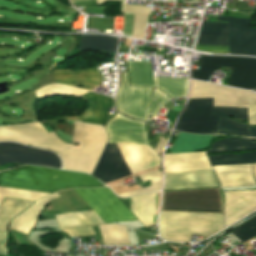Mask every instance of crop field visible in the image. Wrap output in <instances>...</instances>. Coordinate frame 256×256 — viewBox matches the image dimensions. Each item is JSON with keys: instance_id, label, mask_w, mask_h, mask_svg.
<instances>
[{"instance_id": "1", "label": "crop field", "mask_w": 256, "mask_h": 256, "mask_svg": "<svg viewBox=\"0 0 256 256\" xmlns=\"http://www.w3.org/2000/svg\"><path fill=\"white\" fill-rule=\"evenodd\" d=\"M0 186L52 193L73 187L103 186L94 177L78 172L25 165L0 173ZM0 187V203L5 196L37 200L47 193Z\"/></svg>"}, {"instance_id": "2", "label": "crop field", "mask_w": 256, "mask_h": 256, "mask_svg": "<svg viewBox=\"0 0 256 256\" xmlns=\"http://www.w3.org/2000/svg\"><path fill=\"white\" fill-rule=\"evenodd\" d=\"M132 174L158 168L160 156L150 145L117 144ZM116 144H106L92 173L104 183L132 175Z\"/></svg>"}, {"instance_id": "3", "label": "crop field", "mask_w": 256, "mask_h": 256, "mask_svg": "<svg viewBox=\"0 0 256 256\" xmlns=\"http://www.w3.org/2000/svg\"><path fill=\"white\" fill-rule=\"evenodd\" d=\"M74 131L75 142H80V146L61 153L63 168L91 174L107 141L105 128L101 125L74 122Z\"/></svg>"}, {"instance_id": "4", "label": "crop field", "mask_w": 256, "mask_h": 256, "mask_svg": "<svg viewBox=\"0 0 256 256\" xmlns=\"http://www.w3.org/2000/svg\"><path fill=\"white\" fill-rule=\"evenodd\" d=\"M223 214L161 212L159 226L164 240L190 242L192 234L208 237L223 228Z\"/></svg>"}, {"instance_id": "5", "label": "crop field", "mask_w": 256, "mask_h": 256, "mask_svg": "<svg viewBox=\"0 0 256 256\" xmlns=\"http://www.w3.org/2000/svg\"><path fill=\"white\" fill-rule=\"evenodd\" d=\"M151 88L130 87L127 72L122 76V83L117 90V110L129 117L146 122L147 114L155 116L159 108L169 97L155 89L150 100Z\"/></svg>"}, {"instance_id": "6", "label": "crop field", "mask_w": 256, "mask_h": 256, "mask_svg": "<svg viewBox=\"0 0 256 256\" xmlns=\"http://www.w3.org/2000/svg\"><path fill=\"white\" fill-rule=\"evenodd\" d=\"M220 66L233 67L229 86L251 90L256 87V60L201 55L200 69L191 70L193 79L208 81Z\"/></svg>"}, {"instance_id": "7", "label": "crop field", "mask_w": 256, "mask_h": 256, "mask_svg": "<svg viewBox=\"0 0 256 256\" xmlns=\"http://www.w3.org/2000/svg\"><path fill=\"white\" fill-rule=\"evenodd\" d=\"M161 211L223 213L221 191L210 188L163 192Z\"/></svg>"}, {"instance_id": "8", "label": "crop field", "mask_w": 256, "mask_h": 256, "mask_svg": "<svg viewBox=\"0 0 256 256\" xmlns=\"http://www.w3.org/2000/svg\"><path fill=\"white\" fill-rule=\"evenodd\" d=\"M0 141H18L27 145L60 151L73 146L63 143L53 131L47 132L40 122L0 126Z\"/></svg>"}, {"instance_id": "9", "label": "crop field", "mask_w": 256, "mask_h": 256, "mask_svg": "<svg viewBox=\"0 0 256 256\" xmlns=\"http://www.w3.org/2000/svg\"><path fill=\"white\" fill-rule=\"evenodd\" d=\"M105 222L137 220L109 189H73Z\"/></svg>"}, {"instance_id": "10", "label": "crop field", "mask_w": 256, "mask_h": 256, "mask_svg": "<svg viewBox=\"0 0 256 256\" xmlns=\"http://www.w3.org/2000/svg\"><path fill=\"white\" fill-rule=\"evenodd\" d=\"M213 99H189L174 130L197 134H215L219 116L212 115Z\"/></svg>"}, {"instance_id": "11", "label": "crop field", "mask_w": 256, "mask_h": 256, "mask_svg": "<svg viewBox=\"0 0 256 256\" xmlns=\"http://www.w3.org/2000/svg\"><path fill=\"white\" fill-rule=\"evenodd\" d=\"M189 98H214L213 106L248 108L256 101V94L245 90L192 81Z\"/></svg>"}, {"instance_id": "12", "label": "crop field", "mask_w": 256, "mask_h": 256, "mask_svg": "<svg viewBox=\"0 0 256 256\" xmlns=\"http://www.w3.org/2000/svg\"><path fill=\"white\" fill-rule=\"evenodd\" d=\"M4 163H26L61 168L60 159L52 152L16 143L0 142V164Z\"/></svg>"}, {"instance_id": "13", "label": "crop field", "mask_w": 256, "mask_h": 256, "mask_svg": "<svg viewBox=\"0 0 256 256\" xmlns=\"http://www.w3.org/2000/svg\"><path fill=\"white\" fill-rule=\"evenodd\" d=\"M106 131L109 134L107 143L148 144L144 123L131 120L119 114L108 121Z\"/></svg>"}, {"instance_id": "14", "label": "crop field", "mask_w": 256, "mask_h": 256, "mask_svg": "<svg viewBox=\"0 0 256 256\" xmlns=\"http://www.w3.org/2000/svg\"><path fill=\"white\" fill-rule=\"evenodd\" d=\"M217 21L229 22V53L255 54L256 30L250 20L218 16Z\"/></svg>"}, {"instance_id": "15", "label": "crop field", "mask_w": 256, "mask_h": 256, "mask_svg": "<svg viewBox=\"0 0 256 256\" xmlns=\"http://www.w3.org/2000/svg\"><path fill=\"white\" fill-rule=\"evenodd\" d=\"M218 186L211 170L165 173L163 190Z\"/></svg>"}, {"instance_id": "16", "label": "crop field", "mask_w": 256, "mask_h": 256, "mask_svg": "<svg viewBox=\"0 0 256 256\" xmlns=\"http://www.w3.org/2000/svg\"><path fill=\"white\" fill-rule=\"evenodd\" d=\"M224 194L226 226L256 209V190L232 191Z\"/></svg>"}, {"instance_id": "17", "label": "crop field", "mask_w": 256, "mask_h": 256, "mask_svg": "<svg viewBox=\"0 0 256 256\" xmlns=\"http://www.w3.org/2000/svg\"><path fill=\"white\" fill-rule=\"evenodd\" d=\"M213 114L220 115L216 134L249 136L247 125L228 120L224 117L248 120L247 109L234 107H213Z\"/></svg>"}, {"instance_id": "18", "label": "crop field", "mask_w": 256, "mask_h": 256, "mask_svg": "<svg viewBox=\"0 0 256 256\" xmlns=\"http://www.w3.org/2000/svg\"><path fill=\"white\" fill-rule=\"evenodd\" d=\"M212 169L205 152L167 154L164 160V171H188Z\"/></svg>"}, {"instance_id": "19", "label": "crop field", "mask_w": 256, "mask_h": 256, "mask_svg": "<svg viewBox=\"0 0 256 256\" xmlns=\"http://www.w3.org/2000/svg\"><path fill=\"white\" fill-rule=\"evenodd\" d=\"M82 98L91 103L90 108L85 110L82 116L64 117L62 119L82 120V122L103 125L107 121L109 108L113 106V98L93 92L82 95Z\"/></svg>"}, {"instance_id": "20", "label": "crop field", "mask_w": 256, "mask_h": 256, "mask_svg": "<svg viewBox=\"0 0 256 256\" xmlns=\"http://www.w3.org/2000/svg\"><path fill=\"white\" fill-rule=\"evenodd\" d=\"M222 186L256 185L251 165L213 167Z\"/></svg>"}, {"instance_id": "21", "label": "crop field", "mask_w": 256, "mask_h": 256, "mask_svg": "<svg viewBox=\"0 0 256 256\" xmlns=\"http://www.w3.org/2000/svg\"><path fill=\"white\" fill-rule=\"evenodd\" d=\"M56 197H59L57 193L39 199L34 205H32L22 214L14 218L13 221L10 223V228L28 234L29 230L32 229L35 225L37 221V216L42 208Z\"/></svg>"}, {"instance_id": "22", "label": "crop field", "mask_w": 256, "mask_h": 256, "mask_svg": "<svg viewBox=\"0 0 256 256\" xmlns=\"http://www.w3.org/2000/svg\"><path fill=\"white\" fill-rule=\"evenodd\" d=\"M157 194L133 198L132 213L146 226L155 224Z\"/></svg>"}, {"instance_id": "23", "label": "crop field", "mask_w": 256, "mask_h": 256, "mask_svg": "<svg viewBox=\"0 0 256 256\" xmlns=\"http://www.w3.org/2000/svg\"><path fill=\"white\" fill-rule=\"evenodd\" d=\"M52 76L55 83H66L73 86H77L76 83H79L89 89L96 87L93 80V68L74 73L69 70H56L53 71Z\"/></svg>"}, {"instance_id": "24", "label": "crop field", "mask_w": 256, "mask_h": 256, "mask_svg": "<svg viewBox=\"0 0 256 256\" xmlns=\"http://www.w3.org/2000/svg\"><path fill=\"white\" fill-rule=\"evenodd\" d=\"M118 38L106 35H81L79 51L114 53Z\"/></svg>"}, {"instance_id": "25", "label": "crop field", "mask_w": 256, "mask_h": 256, "mask_svg": "<svg viewBox=\"0 0 256 256\" xmlns=\"http://www.w3.org/2000/svg\"><path fill=\"white\" fill-rule=\"evenodd\" d=\"M34 202L5 197L0 204V231H6L8 222Z\"/></svg>"}, {"instance_id": "26", "label": "crop field", "mask_w": 256, "mask_h": 256, "mask_svg": "<svg viewBox=\"0 0 256 256\" xmlns=\"http://www.w3.org/2000/svg\"><path fill=\"white\" fill-rule=\"evenodd\" d=\"M212 140V136L207 135H189L185 133H179L172 152H191L208 147L209 142Z\"/></svg>"}, {"instance_id": "27", "label": "crop field", "mask_w": 256, "mask_h": 256, "mask_svg": "<svg viewBox=\"0 0 256 256\" xmlns=\"http://www.w3.org/2000/svg\"><path fill=\"white\" fill-rule=\"evenodd\" d=\"M248 150H256V144L252 139L224 138L215 142L212 145L211 149L206 150V153L211 154V153L239 152V151H248Z\"/></svg>"}, {"instance_id": "28", "label": "crop field", "mask_w": 256, "mask_h": 256, "mask_svg": "<svg viewBox=\"0 0 256 256\" xmlns=\"http://www.w3.org/2000/svg\"><path fill=\"white\" fill-rule=\"evenodd\" d=\"M128 66L131 86L154 87L149 62L131 61Z\"/></svg>"}, {"instance_id": "29", "label": "crop field", "mask_w": 256, "mask_h": 256, "mask_svg": "<svg viewBox=\"0 0 256 256\" xmlns=\"http://www.w3.org/2000/svg\"><path fill=\"white\" fill-rule=\"evenodd\" d=\"M55 216L60 228L96 225L103 223L93 211Z\"/></svg>"}, {"instance_id": "30", "label": "crop field", "mask_w": 256, "mask_h": 256, "mask_svg": "<svg viewBox=\"0 0 256 256\" xmlns=\"http://www.w3.org/2000/svg\"><path fill=\"white\" fill-rule=\"evenodd\" d=\"M155 85L167 93L171 98L186 97L189 79H161L154 78Z\"/></svg>"}, {"instance_id": "31", "label": "crop field", "mask_w": 256, "mask_h": 256, "mask_svg": "<svg viewBox=\"0 0 256 256\" xmlns=\"http://www.w3.org/2000/svg\"><path fill=\"white\" fill-rule=\"evenodd\" d=\"M211 166L246 164L256 162V152L245 154L209 155Z\"/></svg>"}, {"instance_id": "32", "label": "crop field", "mask_w": 256, "mask_h": 256, "mask_svg": "<svg viewBox=\"0 0 256 256\" xmlns=\"http://www.w3.org/2000/svg\"><path fill=\"white\" fill-rule=\"evenodd\" d=\"M98 227L103 236L104 244H130L124 226L101 225Z\"/></svg>"}, {"instance_id": "33", "label": "crop field", "mask_w": 256, "mask_h": 256, "mask_svg": "<svg viewBox=\"0 0 256 256\" xmlns=\"http://www.w3.org/2000/svg\"><path fill=\"white\" fill-rule=\"evenodd\" d=\"M138 177L143 182L152 180L151 186H149L147 188H143V189L118 193L117 195H119L121 197H131V196H135V195H139V194H144V193L160 190L161 181H162V173L161 172H149V173L142 174Z\"/></svg>"}, {"instance_id": "34", "label": "crop field", "mask_w": 256, "mask_h": 256, "mask_svg": "<svg viewBox=\"0 0 256 256\" xmlns=\"http://www.w3.org/2000/svg\"><path fill=\"white\" fill-rule=\"evenodd\" d=\"M85 92H87V90L76 89V88H72L70 86H66L62 84H52L47 87L36 90V96L38 97L46 94H57V93L80 95Z\"/></svg>"}, {"instance_id": "35", "label": "crop field", "mask_w": 256, "mask_h": 256, "mask_svg": "<svg viewBox=\"0 0 256 256\" xmlns=\"http://www.w3.org/2000/svg\"><path fill=\"white\" fill-rule=\"evenodd\" d=\"M231 232L243 242L251 239L252 237L256 236V217Z\"/></svg>"}, {"instance_id": "36", "label": "crop field", "mask_w": 256, "mask_h": 256, "mask_svg": "<svg viewBox=\"0 0 256 256\" xmlns=\"http://www.w3.org/2000/svg\"><path fill=\"white\" fill-rule=\"evenodd\" d=\"M228 24L210 23L203 21L199 34L212 36H227Z\"/></svg>"}, {"instance_id": "37", "label": "crop field", "mask_w": 256, "mask_h": 256, "mask_svg": "<svg viewBox=\"0 0 256 256\" xmlns=\"http://www.w3.org/2000/svg\"><path fill=\"white\" fill-rule=\"evenodd\" d=\"M147 18H148V15L134 14L132 37L144 39V32L147 24Z\"/></svg>"}, {"instance_id": "38", "label": "crop field", "mask_w": 256, "mask_h": 256, "mask_svg": "<svg viewBox=\"0 0 256 256\" xmlns=\"http://www.w3.org/2000/svg\"><path fill=\"white\" fill-rule=\"evenodd\" d=\"M197 44L211 45V46H228V38L199 35Z\"/></svg>"}, {"instance_id": "39", "label": "crop field", "mask_w": 256, "mask_h": 256, "mask_svg": "<svg viewBox=\"0 0 256 256\" xmlns=\"http://www.w3.org/2000/svg\"><path fill=\"white\" fill-rule=\"evenodd\" d=\"M62 231L67 232L69 237L84 236V235H92V234H94V232L91 229V227L65 229V230H62Z\"/></svg>"}, {"instance_id": "40", "label": "crop field", "mask_w": 256, "mask_h": 256, "mask_svg": "<svg viewBox=\"0 0 256 256\" xmlns=\"http://www.w3.org/2000/svg\"><path fill=\"white\" fill-rule=\"evenodd\" d=\"M133 14L124 13V30L123 35L131 37L132 34Z\"/></svg>"}, {"instance_id": "41", "label": "crop field", "mask_w": 256, "mask_h": 256, "mask_svg": "<svg viewBox=\"0 0 256 256\" xmlns=\"http://www.w3.org/2000/svg\"><path fill=\"white\" fill-rule=\"evenodd\" d=\"M124 12L129 13H149L152 14L149 7L145 6H137V5H129L125 4Z\"/></svg>"}, {"instance_id": "42", "label": "crop field", "mask_w": 256, "mask_h": 256, "mask_svg": "<svg viewBox=\"0 0 256 256\" xmlns=\"http://www.w3.org/2000/svg\"><path fill=\"white\" fill-rule=\"evenodd\" d=\"M196 50H201V51H207L211 53H228V47H211V46H202V45H197Z\"/></svg>"}, {"instance_id": "43", "label": "crop field", "mask_w": 256, "mask_h": 256, "mask_svg": "<svg viewBox=\"0 0 256 256\" xmlns=\"http://www.w3.org/2000/svg\"><path fill=\"white\" fill-rule=\"evenodd\" d=\"M249 124H256V102L248 108Z\"/></svg>"}, {"instance_id": "44", "label": "crop field", "mask_w": 256, "mask_h": 256, "mask_svg": "<svg viewBox=\"0 0 256 256\" xmlns=\"http://www.w3.org/2000/svg\"><path fill=\"white\" fill-rule=\"evenodd\" d=\"M165 144H166V140L163 139L162 137H160L159 142H158V144H157V147H156V149H155V151H156L159 155H160V153L162 152V150H163Z\"/></svg>"}, {"instance_id": "45", "label": "crop field", "mask_w": 256, "mask_h": 256, "mask_svg": "<svg viewBox=\"0 0 256 256\" xmlns=\"http://www.w3.org/2000/svg\"><path fill=\"white\" fill-rule=\"evenodd\" d=\"M3 240H4V233H0V254H5Z\"/></svg>"}, {"instance_id": "46", "label": "crop field", "mask_w": 256, "mask_h": 256, "mask_svg": "<svg viewBox=\"0 0 256 256\" xmlns=\"http://www.w3.org/2000/svg\"><path fill=\"white\" fill-rule=\"evenodd\" d=\"M71 2V4H75V3H81V2H87V1H93V0H69Z\"/></svg>"}, {"instance_id": "47", "label": "crop field", "mask_w": 256, "mask_h": 256, "mask_svg": "<svg viewBox=\"0 0 256 256\" xmlns=\"http://www.w3.org/2000/svg\"><path fill=\"white\" fill-rule=\"evenodd\" d=\"M251 137H256V129L250 127Z\"/></svg>"}, {"instance_id": "48", "label": "crop field", "mask_w": 256, "mask_h": 256, "mask_svg": "<svg viewBox=\"0 0 256 256\" xmlns=\"http://www.w3.org/2000/svg\"><path fill=\"white\" fill-rule=\"evenodd\" d=\"M104 1H106V0H96L97 4L102 3V2H104ZM120 1H122V11H123V8H124V0H120Z\"/></svg>"}, {"instance_id": "49", "label": "crop field", "mask_w": 256, "mask_h": 256, "mask_svg": "<svg viewBox=\"0 0 256 256\" xmlns=\"http://www.w3.org/2000/svg\"><path fill=\"white\" fill-rule=\"evenodd\" d=\"M253 169H254V175L256 177V164H253Z\"/></svg>"}]
</instances>
